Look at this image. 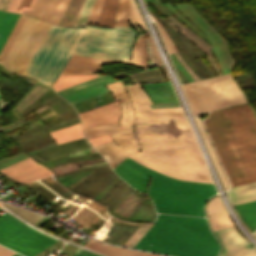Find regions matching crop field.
<instances>
[{
	"label": "crop field",
	"instance_id": "8a807250",
	"mask_svg": "<svg viewBox=\"0 0 256 256\" xmlns=\"http://www.w3.org/2000/svg\"><path fill=\"white\" fill-rule=\"evenodd\" d=\"M116 100L122 104L120 126L100 125L84 129L86 139L110 134L113 140L95 145L96 150L113 167L129 156L142 165L180 180L211 182L191 129L181 108L150 110L151 101L139 84L126 86L134 112L121 80L107 85ZM128 108V120L125 124Z\"/></svg>",
	"mask_w": 256,
	"mask_h": 256
},
{
	"label": "crop field",
	"instance_id": "ac0d7876",
	"mask_svg": "<svg viewBox=\"0 0 256 256\" xmlns=\"http://www.w3.org/2000/svg\"><path fill=\"white\" fill-rule=\"evenodd\" d=\"M136 32L129 27L71 28L51 24L23 75L49 86L72 54L129 60Z\"/></svg>",
	"mask_w": 256,
	"mask_h": 256
},
{
	"label": "crop field",
	"instance_id": "34b2d1b8",
	"mask_svg": "<svg viewBox=\"0 0 256 256\" xmlns=\"http://www.w3.org/2000/svg\"><path fill=\"white\" fill-rule=\"evenodd\" d=\"M205 123L231 187L256 181V117L248 105L212 112Z\"/></svg>",
	"mask_w": 256,
	"mask_h": 256
},
{
	"label": "crop field",
	"instance_id": "412701ff",
	"mask_svg": "<svg viewBox=\"0 0 256 256\" xmlns=\"http://www.w3.org/2000/svg\"><path fill=\"white\" fill-rule=\"evenodd\" d=\"M134 247L174 256H215L219 250L205 218L164 214Z\"/></svg>",
	"mask_w": 256,
	"mask_h": 256
},
{
	"label": "crop field",
	"instance_id": "f4fd0767",
	"mask_svg": "<svg viewBox=\"0 0 256 256\" xmlns=\"http://www.w3.org/2000/svg\"><path fill=\"white\" fill-rule=\"evenodd\" d=\"M124 161L152 177L148 196L158 212L205 216L203 204L216 193L213 184L176 180L149 170L129 158Z\"/></svg>",
	"mask_w": 256,
	"mask_h": 256
},
{
	"label": "crop field",
	"instance_id": "dd49c442",
	"mask_svg": "<svg viewBox=\"0 0 256 256\" xmlns=\"http://www.w3.org/2000/svg\"><path fill=\"white\" fill-rule=\"evenodd\" d=\"M192 113L199 114L245 103V97L229 73L181 86Z\"/></svg>",
	"mask_w": 256,
	"mask_h": 256
},
{
	"label": "crop field",
	"instance_id": "e52e79f7",
	"mask_svg": "<svg viewBox=\"0 0 256 256\" xmlns=\"http://www.w3.org/2000/svg\"><path fill=\"white\" fill-rule=\"evenodd\" d=\"M51 238L7 212L0 216V244L25 256H33L56 241Z\"/></svg>",
	"mask_w": 256,
	"mask_h": 256
},
{
	"label": "crop field",
	"instance_id": "d8731c3e",
	"mask_svg": "<svg viewBox=\"0 0 256 256\" xmlns=\"http://www.w3.org/2000/svg\"><path fill=\"white\" fill-rule=\"evenodd\" d=\"M128 63L138 67L147 68V55L142 34H139L137 42L133 48L130 61H117L109 59L89 58L72 55L60 76L80 73H92L102 71L101 64Z\"/></svg>",
	"mask_w": 256,
	"mask_h": 256
},
{
	"label": "crop field",
	"instance_id": "5a996713",
	"mask_svg": "<svg viewBox=\"0 0 256 256\" xmlns=\"http://www.w3.org/2000/svg\"><path fill=\"white\" fill-rule=\"evenodd\" d=\"M114 81L116 80L110 78L109 75L100 76L66 88L58 92V94L68 100L71 104H73L80 100L89 99L100 94L107 93L104 85L112 83Z\"/></svg>",
	"mask_w": 256,
	"mask_h": 256
},
{
	"label": "crop field",
	"instance_id": "3316defc",
	"mask_svg": "<svg viewBox=\"0 0 256 256\" xmlns=\"http://www.w3.org/2000/svg\"><path fill=\"white\" fill-rule=\"evenodd\" d=\"M215 233L223 245L220 256H256V248L253 245L250 247L234 226L216 230Z\"/></svg>",
	"mask_w": 256,
	"mask_h": 256
},
{
	"label": "crop field",
	"instance_id": "28ad6ade",
	"mask_svg": "<svg viewBox=\"0 0 256 256\" xmlns=\"http://www.w3.org/2000/svg\"><path fill=\"white\" fill-rule=\"evenodd\" d=\"M0 171L23 183L51 175V172L46 167L37 164L30 157Z\"/></svg>",
	"mask_w": 256,
	"mask_h": 256
},
{
	"label": "crop field",
	"instance_id": "d1516ede",
	"mask_svg": "<svg viewBox=\"0 0 256 256\" xmlns=\"http://www.w3.org/2000/svg\"><path fill=\"white\" fill-rule=\"evenodd\" d=\"M119 114L120 103L119 101H115L91 111L82 112L79 116L82 120V127L84 129L100 124L118 125Z\"/></svg>",
	"mask_w": 256,
	"mask_h": 256
},
{
	"label": "crop field",
	"instance_id": "22f410ed",
	"mask_svg": "<svg viewBox=\"0 0 256 256\" xmlns=\"http://www.w3.org/2000/svg\"><path fill=\"white\" fill-rule=\"evenodd\" d=\"M51 23L39 21L38 25L34 29L32 35L26 42L25 46L21 50L19 56L17 57L15 63L10 68L11 71L17 72L22 74L23 70L25 69L27 63L29 62L30 58L32 57L34 51L36 50L37 46L39 45L40 41L42 40L43 36L45 35L46 31L48 30Z\"/></svg>",
	"mask_w": 256,
	"mask_h": 256
},
{
	"label": "crop field",
	"instance_id": "cbeb9de0",
	"mask_svg": "<svg viewBox=\"0 0 256 256\" xmlns=\"http://www.w3.org/2000/svg\"><path fill=\"white\" fill-rule=\"evenodd\" d=\"M68 2L69 0H37L31 12L23 10L22 13L57 24Z\"/></svg>",
	"mask_w": 256,
	"mask_h": 256
},
{
	"label": "crop field",
	"instance_id": "5142ce71",
	"mask_svg": "<svg viewBox=\"0 0 256 256\" xmlns=\"http://www.w3.org/2000/svg\"><path fill=\"white\" fill-rule=\"evenodd\" d=\"M39 20L33 19L27 16L16 40L14 41L13 45L11 46L4 62L3 66H5L8 70L12 66L13 62L15 61L17 55L19 54L20 50L22 49L24 43L29 38L30 34L32 33L33 29L37 25Z\"/></svg>",
	"mask_w": 256,
	"mask_h": 256
},
{
	"label": "crop field",
	"instance_id": "d9b57169",
	"mask_svg": "<svg viewBox=\"0 0 256 256\" xmlns=\"http://www.w3.org/2000/svg\"><path fill=\"white\" fill-rule=\"evenodd\" d=\"M113 171L124 179L129 185L145 193L149 176L138 171L124 161L118 166L114 167Z\"/></svg>",
	"mask_w": 256,
	"mask_h": 256
},
{
	"label": "crop field",
	"instance_id": "733c2abd",
	"mask_svg": "<svg viewBox=\"0 0 256 256\" xmlns=\"http://www.w3.org/2000/svg\"><path fill=\"white\" fill-rule=\"evenodd\" d=\"M88 147H91V145L86 141L85 138H83L59 144L58 146L41 151L33 156H35L40 161L44 162Z\"/></svg>",
	"mask_w": 256,
	"mask_h": 256
},
{
	"label": "crop field",
	"instance_id": "4a817a6b",
	"mask_svg": "<svg viewBox=\"0 0 256 256\" xmlns=\"http://www.w3.org/2000/svg\"><path fill=\"white\" fill-rule=\"evenodd\" d=\"M206 210L213 230L233 225L218 196L208 201Z\"/></svg>",
	"mask_w": 256,
	"mask_h": 256
},
{
	"label": "crop field",
	"instance_id": "bc2a9ffb",
	"mask_svg": "<svg viewBox=\"0 0 256 256\" xmlns=\"http://www.w3.org/2000/svg\"><path fill=\"white\" fill-rule=\"evenodd\" d=\"M228 196L233 205L256 200V182L230 188Z\"/></svg>",
	"mask_w": 256,
	"mask_h": 256
},
{
	"label": "crop field",
	"instance_id": "214f88e0",
	"mask_svg": "<svg viewBox=\"0 0 256 256\" xmlns=\"http://www.w3.org/2000/svg\"><path fill=\"white\" fill-rule=\"evenodd\" d=\"M49 133L57 144L84 137L81 133L79 123L66 128L50 131Z\"/></svg>",
	"mask_w": 256,
	"mask_h": 256
},
{
	"label": "crop field",
	"instance_id": "92a150f3",
	"mask_svg": "<svg viewBox=\"0 0 256 256\" xmlns=\"http://www.w3.org/2000/svg\"><path fill=\"white\" fill-rule=\"evenodd\" d=\"M19 15L0 11V49L14 27Z\"/></svg>",
	"mask_w": 256,
	"mask_h": 256
},
{
	"label": "crop field",
	"instance_id": "dafd665d",
	"mask_svg": "<svg viewBox=\"0 0 256 256\" xmlns=\"http://www.w3.org/2000/svg\"><path fill=\"white\" fill-rule=\"evenodd\" d=\"M244 222L253 231L256 228V201L236 205Z\"/></svg>",
	"mask_w": 256,
	"mask_h": 256
},
{
	"label": "crop field",
	"instance_id": "00972430",
	"mask_svg": "<svg viewBox=\"0 0 256 256\" xmlns=\"http://www.w3.org/2000/svg\"><path fill=\"white\" fill-rule=\"evenodd\" d=\"M119 0H106L98 25L113 27L117 5Z\"/></svg>",
	"mask_w": 256,
	"mask_h": 256
},
{
	"label": "crop field",
	"instance_id": "a9b5d70f",
	"mask_svg": "<svg viewBox=\"0 0 256 256\" xmlns=\"http://www.w3.org/2000/svg\"><path fill=\"white\" fill-rule=\"evenodd\" d=\"M96 76H99V75L87 74V75H73V76L58 77V79L55 81V83L51 87L54 88L56 91H58L63 88L69 87L71 85L91 79Z\"/></svg>",
	"mask_w": 256,
	"mask_h": 256
},
{
	"label": "crop field",
	"instance_id": "4177f3b9",
	"mask_svg": "<svg viewBox=\"0 0 256 256\" xmlns=\"http://www.w3.org/2000/svg\"><path fill=\"white\" fill-rule=\"evenodd\" d=\"M193 117H194V116H193ZM194 119H195V121H196V123H197V126H198V128H199V130H200V133H201V135H202V137H203V140H204V142H205V144H206V146H207V149H208V151H209V153H210V156H211V158H212V160H213V162H214V165H215V167H216V169H217V171H218V174H219V176H220V178H221V181H222V183H223V185H224V187H225V189H226L227 186H228V185H227V182H226V180H225V178H224V175H223V173H222V171H221V169H220V166H219V164H218V162H217V159H216L215 154H214V152H213V149H212V146H211L210 141H209V139H208V136H207V134H206V132H205V130H204V128H203V126H202L200 120H199L198 118H196V117H194Z\"/></svg>",
	"mask_w": 256,
	"mask_h": 256
},
{
	"label": "crop field",
	"instance_id": "730fd06b",
	"mask_svg": "<svg viewBox=\"0 0 256 256\" xmlns=\"http://www.w3.org/2000/svg\"><path fill=\"white\" fill-rule=\"evenodd\" d=\"M84 247L90 248L92 250L104 253L109 256H116V254L120 251V247L108 246L103 243L94 241L90 239Z\"/></svg>",
	"mask_w": 256,
	"mask_h": 256
},
{
	"label": "crop field",
	"instance_id": "eef30255",
	"mask_svg": "<svg viewBox=\"0 0 256 256\" xmlns=\"http://www.w3.org/2000/svg\"><path fill=\"white\" fill-rule=\"evenodd\" d=\"M35 2L36 0H8L4 10L18 13L22 9L31 11Z\"/></svg>",
	"mask_w": 256,
	"mask_h": 256
},
{
	"label": "crop field",
	"instance_id": "ae1a2a85",
	"mask_svg": "<svg viewBox=\"0 0 256 256\" xmlns=\"http://www.w3.org/2000/svg\"><path fill=\"white\" fill-rule=\"evenodd\" d=\"M26 16L24 15H20L15 27L13 28L11 34L9 35L7 41L5 42L1 52H0V63H2L7 51L9 50L13 40L15 39L20 27L22 26L24 20H25Z\"/></svg>",
	"mask_w": 256,
	"mask_h": 256
},
{
	"label": "crop field",
	"instance_id": "d3111659",
	"mask_svg": "<svg viewBox=\"0 0 256 256\" xmlns=\"http://www.w3.org/2000/svg\"><path fill=\"white\" fill-rule=\"evenodd\" d=\"M114 26H130L128 23L127 0H120Z\"/></svg>",
	"mask_w": 256,
	"mask_h": 256
},
{
	"label": "crop field",
	"instance_id": "750c4746",
	"mask_svg": "<svg viewBox=\"0 0 256 256\" xmlns=\"http://www.w3.org/2000/svg\"><path fill=\"white\" fill-rule=\"evenodd\" d=\"M153 223L141 224L133 235L126 241L124 246L133 247Z\"/></svg>",
	"mask_w": 256,
	"mask_h": 256
},
{
	"label": "crop field",
	"instance_id": "bd1437ed",
	"mask_svg": "<svg viewBox=\"0 0 256 256\" xmlns=\"http://www.w3.org/2000/svg\"><path fill=\"white\" fill-rule=\"evenodd\" d=\"M94 3H95V0H86L84 9L80 14L75 26H85Z\"/></svg>",
	"mask_w": 256,
	"mask_h": 256
},
{
	"label": "crop field",
	"instance_id": "1d83c4d3",
	"mask_svg": "<svg viewBox=\"0 0 256 256\" xmlns=\"http://www.w3.org/2000/svg\"><path fill=\"white\" fill-rule=\"evenodd\" d=\"M104 1L105 0H96V3H95V5H94V7L92 9V12H91V15H90V18H89L87 24H89V25H96V23H97V21L99 19V16L101 14Z\"/></svg>",
	"mask_w": 256,
	"mask_h": 256
},
{
	"label": "crop field",
	"instance_id": "120bbe31",
	"mask_svg": "<svg viewBox=\"0 0 256 256\" xmlns=\"http://www.w3.org/2000/svg\"><path fill=\"white\" fill-rule=\"evenodd\" d=\"M152 18H153V17H152ZM153 20H154V22L156 23V25H157V27H158V29H159V31H160V34H161V36H162V38H163V41H164V43H165V45H166V48H167L168 52H169V53H171V52H176L177 49L175 48V46H174L173 43L171 42L170 38H169V37L167 36V34L165 33V31H164L163 27L161 26V24L158 23L154 18H153Z\"/></svg>",
	"mask_w": 256,
	"mask_h": 256
},
{
	"label": "crop field",
	"instance_id": "d32e631a",
	"mask_svg": "<svg viewBox=\"0 0 256 256\" xmlns=\"http://www.w3.org/2000/svg\"><path fill=\"white\" fill-rule=\"evenodd\" d=\"M117 256H158V255H153V254H148V253H143L138 251H131V250L122 248L121 251L117 254Z\"/></svg>",
	"mask_w": 256,
	"mask_h": 256
},
{
	"label": "crop field",
	"instance_id": "5866460e",
	"mask_svg": "<svg viewBox=\"0 0 256 256\" xmlns=\"http://www.w3.org/2000/svg\"><path fill=\"white\" fill-rule=\"evenodd\" d=\"M144 37H145V41H146V47H147V53H148V58H149V64L150 66H153V65H158L157 64V61H156V57H155V54L144 34Z\"/></svg>",
	"mask_w": 256,
	"mask_h": 256
},
{
	"label": "crop field",
	"instance_id": "028f5c9d",
	"mask_svg": "<svg viewBox=\"0 0 256 256\" xmlns=\"http://www.w3.org/2000/svg\"><path fill=\"white\" fill-rule=\"evenodd\" d=\"M111 138L109 137V135H106V136H102V137H98V138H93V139H89V141L95 145V144H98V143H101V142H104V141H107V140H110Z\"/></svg>",
	"mask_w": 256,
	"mask_h": 256
},
{
	"label": "crop field",
	"instance_id": "e1f06a70",
	"mask_svg": "<svg viewBox=\"0 0 256 256\" xmlns=\"http://www.w3.org/2000/svg\"><path fill=\"white\" fill-rule=\"evenodd\" d=\"M51 111H53L50 107L49 108H47V109H45L44 111H42L41 113H39V114H37L39 117H41V116H43V115H45V114H47V113H49V112H51ZM58 116H57V114H55V115H53V116H51V117H49V118H47V119H45V120H43V121H45V122H48V121H51V120H53V119H55V118H57Z\"/></svg>",
	"mask_w": 256,
	"mask_h": 256
},
{
	"label": "crop field",
	"instance_id": "0bd39190",
	"mask_svg": "<svg viewBox=\"0 0 256 256\" xmlns=\"http://www.w3.org/2000/svg\"><path fill=\"white\" fill-rule=\"evenodd\" d=\"M15 252L7 249V248H4L2 246H0V256H11L13 255Z\"/></svg>",
	"mask_w": 256,
	"mask_h": 256
},
{
	"label": "crop field",
	"instance_id": "b80d0937",
	"mask_svg": "<svg viewBox=\"0 0 256 256\" xmlns=\"http://www.w3.org/2000/svg\"><path fill=\"white\" fill-rule=\"evenodd\" d=\"M74 256H97L91 253H88L86 251L80 250V249H76Z\"/></svg>",
	"mask_w": 256,
	"mask_h": 256
},
{
	"label": "crop field",
	"instance_id": "c035e120",
	"mask_svg": "<svg viewBox=\"0 0 256 256\" xmlns=\"http://www.w3.org/2000/svg\"><path fill=\"white\" fill-rule=\"evenodd\" d=\"M13 256H21V255H19V254L16 253V254H14Z\"/></svg>",
	"mask_w": 256,
	"mask_h": 256
},
{
	"label": "crop field",
	"instance_id": "c21b1889",
	"mask_svg": "<svg viewBox=\"0 0 256 256\" xmlns=\"http://www.w3.org/2000/svg\"><path fill=\"white\" fill-rule=\"evenodd\" d=\"M153 1H159V0H153Z\"/></svg>",
	"mask_w": 256,
	"mask_h": 256
}]
</instances>
